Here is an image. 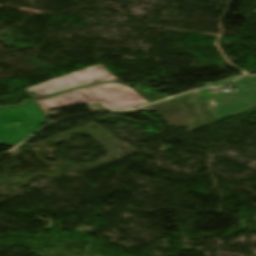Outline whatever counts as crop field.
Listing matches in <instances>:
<instances>
[{"mask_svg": "<svg viewBox=\"0 0 256 256\" xmlns=\"http://www.w3.org/2000/svg\"><path fill=\"white\" fill-rule=\"evenodd\" d=\"M43 111L87 103L91 111L124 109L147 104L137 93L125 85L108 83L92 85L55 95L46 100H37Z\"/></svg>", "mask_w": 256, "mask_h": 256, "instance_id": "8a807250", "label": "crop field"}, {"mask_svg": "<svg viewBox=\"0 0 256 256\" xmlns=\"http://www.w3.org/2000/svg\"><path fill=\"white\" fill-rule=\"evenodd\" d=\"M45 116L34 101L24 106L0 109V145L15 146L38 131Z\"/></svg>", "mask_w": 256, "mask_h": 256, "instance_id": "ac0d7876", "label": "crop field"}, {"mask_svg": "<svg viewBox=\"0 0 256 256\" xmlns=\"http://www.w3.org/2000/svg\"><path fill=\"white\" fill-rule=\"evenodd\" d=\"M107 81L121 82L118 78L111 76L104 66L94 65L81 71L32 86L27 88V90L39 95L56 94L74 87Z\"/></svg>", "mask_w": 256, "mask_h": 256, "instance_id": "34b2d1b8", "label": "crop field"}, {"mask_svg": "<svg viewBox=\"0 0 256 256\" xmlns=\"http://www.w3.org/2000/svg\"><path fill=\"white\" fill-rule=\"evenodd\" d=\"M219 121L256 107V91L205 98Z\"/></svg>", "mask_w": 256, "mask_h": 256, "instance_id": "412701ff", "label": "crop field"}, {"mask_svg": "<svg viewBox=\"0 0 256 256\" xmlns=\"http://www.w3.org/2000/svg\"><path fill=\"white\" fill-rule=\"evenodd\" d=\"M241 91L256 88V75L243 76L236 81Z\"/></svg>", "mask_w": 256, "mask_h": 256, "instance_id": "f4fd0767", "label": "crop field"}, {"mask_svg": "<svg viewBox=\"0 0 256 256\" xmlns=\"http://www.w3.org/2000/svg\"><path fill=\"white\" fill-rule=\"evenodd\" d=\"M209 89H212V88H209ZM209 89H202V90H200L202 96H205V95H212V94H210V93L208 92Z\"/></svg>", "mask_w": 256, "mask_h": 256, "instance_id": "dd49c442", "label": "crop field"}]
</instances>
